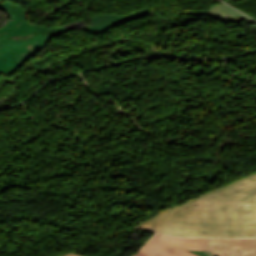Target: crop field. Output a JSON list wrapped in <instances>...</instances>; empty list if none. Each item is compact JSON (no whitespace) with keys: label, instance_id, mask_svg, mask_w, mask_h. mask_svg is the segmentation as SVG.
I'll list each match as a JSON object with an SVG mask.
<instances>
[{"label":"crop field","instance_id":"8","mask_svg":"<svg viewBox=\"0 0 256 256\" xmlns=\"http://www.w3.org/2000/svg\"><path fill=\"white\" fill-rule=\"evenodd\" d=\"M190 252L195 253L199 256H216V255H214L212 253H209V252H201V251H190Z\"/></svg>","mask_w":256,"mask_h":256},{"label":"crop field","instance_id":"7","mask_svg":"<svg viewBox=\"0 0 256 256\" xmlns=\"http://www.w3.org/2000/svg\"><path fill=\"white\" fill-rule=\"evenodd\" d=\"M239 12L220 3L216 6L211 7L207 11H190L186 12L185 15H211L218 18L221 21L228 22Z\"/></svg>","mask_w":256,"mask_h":256},{"label":"crop field","instance_id":"4","mask_svg":"<svg viewBox=\"0 0 256 256\" xmlns=\"http://www.w3.org/2000/svg\"><path fill=\"white\" fill-rule=\"evenodd\" d=\"M208 250L220 256H256V239H209Z\"/></svg>","mask_w":256,"mask_h":256},{"label":"crop field","instance_id":"6","mask_svg":"<svg viewBox=\"0 0 256 256\" xmlns=\"http://www.w3.org/2000/svg\"><path fill=\"white\" fill-rule=\"evenodd\" d=\"M0 9L8 15L7 23L0 28V35L17 29L21 21L26 20V10L18 4L5 1L0 4Z\"/></svg>","mask_w":256,"mask_h":256},{"label":"crop field","instance_id":"1","mask_svg":"<svg viewBox=\"0 0 256 256\" xmlns=\"http://www.w3.org/2000/svg\"><path fill=\"white\" fill-rule=\"evenodd\" d=\"M133 227L190 237H256V172Z\"/></svg>","mask_w":256,"mask_h":256},{"label":"crop field","instance_id":"5","mask_svg":"<svg viewBox=\"0 0 256 256\" xmlns=\"http://www.w3.org/2000/svg\"><path fill=\"white\" fill-rule=\"evenodd\" d=\"M147 8L141 9L133 14L125 15V16H119L114 14H99L97 16L92 17V21L94 26H86L83 27L84 30L90 31V32H100L103 33L110 28L117 25L119 22L123 20H127L130 18L147 15Z\"/></svg>","mask_w":256,"mask_h":256},{"label":"crop field","instance_id":"3","mask_svg":"<svg viewBox=\"0 0 256 256\" xmlns=\"http://www.w3.org/2000/svg\"><path fill=\"white\" fill-rule=\"evenodd\" d=\"M207 239L156 234L135 256H197L185 250H206Z\"/></svg>","mask_w":256,"mask_h":256},{"label":"crop field","instance_id":"9","mask_svg":"<svg viewBox=\"0 0 256 256\" xmlns=\"http://www.w3.org/2000/svg\"><path fill=\"white\" fill-rule=\"evenodd\" d=\"M62 256H79V255H75V254L69 253V254H65V255H62Z\"/></svg>","mask_w":256,"mask_h":256},{"label":"crop field","instance_id":"2","mask_svg":"<svg viewBox=\"0 0 256 256\" xmlns=\"http://www.w3.org/2000/svg\"><path fill=\"white\" fill-rule=\"evenodd\" d=\"M67 31L65 26L46 27L23 21L16 31L0 36V72L10 74L43 49L51 36Z\"/></svg>","mask_w":256,"mask_h":256}]
</instances>
